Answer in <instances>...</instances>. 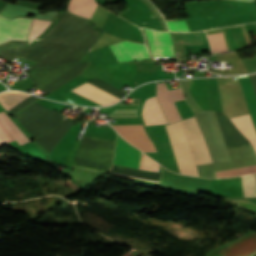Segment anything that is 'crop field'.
Returning a JSON list of instances; mask_svg holds the SVG:
<instances>
[{
  "instance_id": "1",
  "label": "crop field",
  "mask_w": 256,
  "mask_h": 256,
  "mask_svg": "<svg viewBox=\"0 0 256 256\" xmlns=\"http://www.w3.org/2000/svg\"><path fill=\"white\" fill-rule=\"evenodd\" d=\"M116 137L85 132L74 165L109 172Z\"/></svg>"
},
{
  "instance_id": "2",
  "label": "crop field",
  "mask_w": 256,
  "mask_h": 256,
  "mask_svg": "<svg viewBox=\"0 0 256 256\" xmlns=\"http://www.w3.org/2000/svg\"><path fill=\"white\" fill-rule=\"evenodd\" d=\"M34 138L55 128L64 117L36 103L13 115Z\"/></svg>"
},
{
  "instance_id": "3",
  "label": "crop field",
  "mask_w": 256,
  "mask_h": 256,
  "mask_svg": "<svg viewBox=\"0 0 256 256\" xmlns=\"http://www.w3.org/2000/svg\"><path fill=\"white\" fill-rule=\"evenodd\" d=\"M86 63L67 64L53 68L34 69L27 75L40 89L51 91L77 75Z\"/></svg>"
},
{
  "instance_id": "4",
  "label": "crop field",
  "mask_w": 256,
  "mask_h": 256,
  "mask_svg": "<svg viewBox=\"0 0 256 256\" xmlns=\"http://www.w3.org/2000/svg\"><path fill=\"white\" fill-rule=\"evenodd\" d=\"M165 127L181 174L199 176L182 122L166 125Z\"/></svg>"
},
{
  "instance_id": "5",
  "label": "crop field",
  "mask_w": 256,
  "mask_h": 256,
  "mask_svg": "<svg viewBox=\"0 0 256 256\" xmlns=\"http://www.w3.org/2000/svg\"><path fill=\"white\" fill-rule=\"evenodd\" d=\"M142 156L147 170L158 171L159 164L143 153ZM142 156L139 150L129 145L118 135L113 163L146 170Z\"/></svg>"
},
{
  "instance_id": "6",
  "label": "crop field",
  "mask_w": 256,
  "mask_h": 256,
  "mask_svg": "<svg viewBox=\"0 0 256 256\" xmlns=\"http://www.w3.org/2000/svg\"><path fill=\"white\" fill-rule=\"evenodd\" d=\"M189 144L196 162V165L211 163L207 145L205 143L204 137L201 130L199 129L195 117H190L182 121Z\"/></svg>"
},
{
  "instance_id": "7",
  "label": "crop field",
  "mask_w": 256,
  "mask_h": 256,
  "mask_svg": "<svg viewBox=\"0 0 256 256\" xmlns=\"http://www.w3.org/2000/svg\"><path fill=\"white\" fill-rule=\"evenodd\" d=\"M32 18H15L11 21L0 16V43L10 39L27 40Z\"/></svg>"
},
{
  "instance_id": "8",
  "label": "crop field",
  "mask_w": 256,
  "mask_h": 256,
  "mask_svg": "<svg viewBox=\"0 0 256 256\" xmlns=\"http://www.w3.org/2000/svg\"><path fill=\"white\" fill-rule=\"evenodd\" d=\"M123 139L143 152L156 151L142 125L112 126Z\"/></svg>"
},
{
  "instance_id": "9",
  "label": "crop field",
  "mask_w": 256,
  "mask_h": 256,
  "mask_svg": "<svg viewBox=\"0 0 256 256\" xmlns=\"http://www.w3.org/2000/svg\"><path fill=\"white\" fill-rule=\"evenodd\" d=\"M157 98L169 123L181 119L173 103V101L184 99L180 88L168 90L165 82L158 83Z\"/></svg>"
},
{
  "instance_id": "10",
  "label": "crop field",
  "mask_w": 256,
  "mask_h": 256,
  "mask_svg": "<svg viewBox=\"0 0 256 256\" xmlns=\"http://www.w3.org/2000/svg\"><path fill=\"white\" fill-rule=\"evenodd\" d=\"M110 48L113 50L118 62L150 59L146 46L141 43L125 41L110 45Z\"/></svg>"
},
{
  "instance_id": "11",
  "label": "crop field",
  "mask_w": 256,
  "mask_h": 256,
  "mask_svg": "<svg viewBox=\"0 0 256 256\" xmlns=\"http://www.w3.org/2000/svg\"><path fill=\"white\" fill-rule=\"evenodd\" d=\"M145 30L153 57L175 56L173 52L170 32H156Z\"/></svg>"
},
{
  "instance_id": "12",
  "label": "crop field",
  "mask_w": 256,
  "mask_h": 256,
  "mask_svg": "<svg viewBox=\"0 0 256 256\" xmlns=\"http://www.w3.org/2000/svg\"><path fill=\"white\" fill-rule=\"evenodd\" d=\"M216 116L227 148L249 145V142L231 125L226 115L216 113Z\"/></svg>"
},
{
  "instance_id": "13",
  "label": "crop field",
  "mask_w": 256,
  "mask_h": 256,
  "mask_svg": "<svg viewBox=\"0 0 256 256\" xmlns=\"http://www.w3.org/2000/svg\"><path fill=\"white\" fill-rule=\"evenodd\" d=\"M256 250V234L252 233L219 250L222 256H249Z\"/></svg>"
},
{
  "instance_id": "14",
  "label": "crop field",
  "mask_w": 256,
  "mask_h": 256,
  "mask_svg": "<svg viewBox=\"0 0 256 256\" xmlns=\"http://www.w3.org/2000/svg\"><path fill=\"white\" fill-rule=\"evenodd\" d=\"M71 91L96 101L102 105L112 104L120 100L88 83L81 84Z\"/></svg>"
},
{
  "instance_id": "15",
  "label": "crop field",
  "mask_w": 256,
  "mask_h": 256,
  "mask_svg": "<svg viewBox=\"0 0 256 256\" xmlns=\"http://www.w3.org/2000/svg\"><path fill=\"white\" fill-rule=\"evenodd\" d=\"M142 116L146 125L167 123L155 97L146 100Z\"/></svg>"
},
{
  "instance_id": "16",
  "label": "crop field",
  "mask_w": 256,
  "mask_h": 256,
  "mask_svg": "<svg viewBox=\"0 0 256 256\" xmlns=\"http://www.w3.org/2000/svg\"><path fill=\"white\" fill-rule=\"evenodd\" d=\"M235 127H237L244 136L251 142L256 152V132L254 130L250 116H242L230 119Z\"/></svg>"
},
{
  "instance_id": "17",
  "label": "crop field",
  "mask_w": 256,
  "mask_h": 256,
  "mask_svg": "<svg viewBox=\"0 0 256 256\" xmlns=\"http://www.w3.org/2000/svg\"><path fill=\"white\" fill-rule=\"evenodd\" d=\"M96 5L94 0H70L68 10L72 13L90 18Z\"/></svg>"
},
{
  "instance_id": "18",
  "label": "crop field",
  "mask_w": 256,
  "mask_h": 256,
  "mask_svg": "<svg viewBox=\"0 0 256 256\" xmlns=\"http://www.w3.org/2000/svg\"><path fill=\"white\" fill-rule=\"evenodd\" d=\"M27 45V42L12 41L0 46V57L12 61L15 56Z\"/></svg>"
},
{
  "instance_id": "19",
  "label": "crop field",
  "mask_w": 256,
  "mask_h": 256,
  "mask_svg": "<svg viewBox=\"0 0 256 256\" xmlns=\"http://www.w3.org/2000/svg\"><path fill=\"white\" fill-rule=\"evenodd\" d=\"M29 95L18 91H7L0 94V102L8 110Z\"/></svg>"
},
{
  "instance_id": "20",
  "label": "crop field",
  "mask_w": 256,
  "mask_h": 256,
  "mask_svg": "<svg viewBox=\"0 0 256 256\" xmlns=\"http://www.w3.org/2000/svg\"><path fill=\"white\" fill-rule=\"evenodd\" d=\"M0 120L20 145L29 141L26 138V136L19 130V128L9 119V117L3 111L0 112Z\"/></svg>"
},
{
  "instance_id": "21",
  "label": "crop field",
  "mask_w": 256,
  "mask_h": 256,
  "mask_svg": "<svg viewBox=\"0 0 256 256\" xmlns=\"http://www.w3.org/2000/svg\"><path fill=\"white\" fill-rule=\"evenodd\" d=\"M244 197H256L255 174L241 177Z\"/></svg>"
},
{
  "instance_id": "22",
  "label": "crop field",
  "mask_w": 256,
  "mask_h": 256,
  "mask_svg": "<svg viewBox=\"0 0 256 256\" xmlns=\"http://www.w3.org/2000/svg\"><path fill=\"white\" fill-rule=\"evenodd\" d=\"M207 36L213 53L227 50L222 33Z\"/></svg>"
},
{
  "instance_id": "23",
  "label": "crop field",
  "mask_w": 256,
  "mask_h": 256,
  "mask_svg": "<svg viewBox=\"0 0 256 256\" xmlns=\"http://www.w3.org/2000/svg\"><path fill=\"white\" fill-rule=\"evenodd\" d=\"M249 173H256V166L218 171V172H215V175L216 177H227V176H236V175H243V174H249Z\"/></svg>"
},
{
  "instance_id": "24",
  "label": "crop field",
  "mask_w": 256,
  "mask_h": 256,
  "mask_svg": "<svg viewBox=\"0 0 256 256\" xmlns=\"http://www.w3.org/2000/svg\"><path fill=\"white\" fill-rule=\"evenodd\" d=\"M50 22L34 19L33 26L29 35V43L40 33H42Z\"/></svg>"
},
{
  "instance_id": "25",
  "label": "crop field",
  "mask_w": 256,
  "mask_h": 256,
  "mask_svg": "<svg viewBox=\"0 0 256 256\" xmlns=\"http://www.w3.org/2000/svg\"><path fill=\"white\" fill-rule=\"evenodd\" d=\"M39 98L40 97H36V96L31 95V96H29L28 98H26L25 100H23L22 102H20L19 104H17L16 106H14L13 108H11L8 111L13 115V114L17 113L18 111H20L21 109L28 106L29 104L33 103L34 101H36Z\"/></svg>"
},
{
  "instance_id": "26",
  "label": "crop field",
  "mask_w": 256,
  "mask_h": 256,
  "mask_svg": "<svg viewBox=\"0 0 256 256\" xmlns=\"http://www.w3.org/2000/svg\"><path fill=\"white\" fill-rule=\"evenodd\" d=\"M167 25L171 31H189L185 20L170 21L167 22Z\"/></svg>"
},
{
  "instance_id": "27",
  "label": "crop field",
  "mask_w": 256,
  "mask_h": 256,
  "mask_svg": "<svg viewBox=\"0 0 256 256\" xmlns=\"http://www.w3.org/2000/svg\"><path fill=\"white\" fill-rule=\"evenodd\" d=\"M0 138L6 144L15 140L1 122H0Z\"/></svg>"
},
{
  "instance_id": "28",
  "label": "crop field",
  "mask_w": 256,
  "mask_h": 256,
  "mask_svg": "<svg viewBox=\"0 0 256 256\" xmlns=\"http://www.w3.org/2000/svg\"><path fill=\"white\" fill-rule=\"evenodd\" d=\"M249 76H250L252 85L254 87L255 93H256V75H249Z\"/></svg>"
},
{
  "instance_id": "29",
  "label": "crop field",
  "mask_w": 256,
  "mask_h": 256,
  "mask_svg": "<svg viewBox=\"0 0 256 256\" xmlns=\"http://www.w3.org/2000/svg\"><path fill=\"white\" fill-rule=\"evenodd\" d=\"M4 145V142L0 139V146Z\"/></svg>"
}]
</instances>
